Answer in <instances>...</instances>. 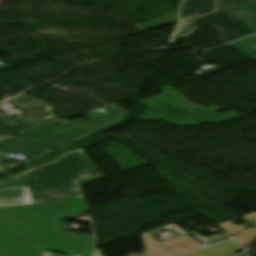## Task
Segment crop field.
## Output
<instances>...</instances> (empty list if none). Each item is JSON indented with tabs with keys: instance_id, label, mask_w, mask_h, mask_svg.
I'll return each mask as SVG.
<instances>
[{
	"instance_id": "crop-field-3",
	"label": "crop field",
	"mask_w": 256,
	"mask_h": 256,
	"mask_svg": "<svg viewBox=\"0 0 256 256\" xmlns=\"http://www.w3.org/2000/svg\"><path fill=\"white\" fill-rule=\"evenodd\" d=\"M98 132L100 130L84 119L76 122L66 120L0 143V153L18 152L35 161L54 152L50 149L52 147L69 141L77 142Z\"/></svg>"
},
{
	"instance_id": "crop-field-9",
	"label": "crop field",
	"mask_w": 256,
	"mask_h": 256,
	"mask_svg": "<svg viewBox=\"0 0 256 256\" xmlns=\"http://www.w3.org/2000/svg\"><path fill=\"white\" fill-rule=\"evenodd\" d=\"M211 12H214V0H186L182 5L181 21Z\"/></svg>"
},
{
	"instance_id": "crop-field-6",
	"label": "crop field",
	"mask_w": 256,
	"mask_h": 256,
	"mask_svg": "<svg viewBox=\"0 0 256 256\" xmlns=\"http://www.w3.org/2000/svg\"><path fill=\"white\" fill-rule=\"evenodd\" d=\"M10 101L22 108L44 107L47 117L44 119L25 118L14 119L10 121L0 119V142L13 138L17 133L28 131L59 120V118L53 114L52 106L50 104L36 99L30 95L19 96Z\"/></svg>"
},
{
	"instance_id": "crop-field-15",
	"label": "crop field",
	"mask_w": 256,
	"mask_h": 256,
	"mask_svg": "<svg viewBox=\"0 0 256 256\" xmlns=\"http://www.w3.org/2000/svg\"><path fill=\"white\" fill-rule=\"evenodd\" d=\"M233 9L256 22V2Z\"/></svg>"
},
{
	"instance_id": "crop-field-10",
	"label": "crop field",
	"mask_w": 256,
	"mask_h": 256,
	"mask_svg": "<svg viewBox=\"0 0 256 256\" xmlns=\"http://www.w3.org/2000/svg\"><path fill=\"white\" fill-rule=\"evenodd\" d=\"M230 45L251 56L256 51V35L241 39Z\"/></svg>"
},
{
	"instance_id": "crop-field-18",
	"label": "crop field",
	"mask_w": 256,
	"mask_h": 256,
	"mask_svg": "<svg viewBox=\"0 0 256 256\" xmlns=\"http://www.w3.org/2000/svg\"><path fill=\"white\" fill-rule=\"evenodd\" d=\"M196 238L199 239L201 242H203L206 245L212 244V243H215V242H218V241H222V240H225V239H229V237H227L226 235H223V234H218V235H215V236L210 237V238H203V237H200V236H196Z\"/></svg>"
},
{
	"instance_id": "crop-field-23",
	"label": "crop field",
	"mask_w": 256,
	"mask_h": 256,
	"mask_svg": "<svg viewBox=\"0 0 256 256\" xmlns=\"http://www.w3.org/2000/svg\"><path fill=\"white\" fill-rule=\"evenodd\" d=\"M235 254H232V255H227V256H234Z\"/></svg>"
},
{
	"instance_id": "crop-field-1",
	"label": "crop field",
	"mask_w": 256,
	"mask_h": 256,
	"mask_svg": "<svg viewBox=\"0 0 256 256\" xmlns=\"http://www.w3.org/2000/svg\"><path fill=\"white\" fill-rule=\"evenodd\" d=\"M82 149L62 154L11 177L0 179V188L29 186L33 203L82 197L76 180L101 176Z\"/></svg>"
},
{
	"instance_id": "crop-field-20",
	"label": "crop field",
	"mask_w": 256,
	"mask_h": 256,
	"mask_svg": "<svg viewBox=\"0 0 256 256\" xmlns=\"http://www.w3.org/2000/svg\"><path fill=\"white\" fill-rule=\"evenodd\" d=\"M14 165L12 164H4V163H0V173H5L6 171H8L10 168H12Z\"/></svg>"
},
{
	"instance_id": "crop-field-7",
	"label": "crop field",
	"mask_w": 256,
	"mask_h": 256,
	"mask_svg": "<svg viewBox=\"0 0 256 256\" xmlns=\"http://www.w3.org/2000/svg\"><path fill=\"white\" fill-rule=\"evenodd\" d=\"M129 114L130 113L117 106L107 109L105 113L94 117V119L89 122L103 131L122 124Z\"/></svg>"
},
{
	"instance_id": "crop-field-19",
	"label": "crop field",
	"mask_w": 256,
	"mask_h": 256,
	"mask_svg": "<svg viewBox=\"0 0 256 256\" xmlns=\"http://www.w3.org/2000/svg\"><path fill=\"white\" fill-rule=\"evenodd\" d=\"M189 22L188 21H184V22H181L180 25L178 26L175 34H174V37H173V40H172V44L175 43V41L178 39V37L180 36V34L182 33V31L184 30V28L186 27L187 23Z\"/></svg>"
},
{
	"instance_id": "crop-field-14",
	"label": "crop field",
	"mask_w": 256,
	"mask_h": 256,
	"mask_svg": "<svg viewBox=\"0 0 256 256\" xmlns=\"http://www.w3.org/2000/svg\"><path fill=\"white\" fill-rule=\"evenodd\" d=\"M256 0H217V11L255 2Z\"/></svg>"
},
{
	"instance_id": "crop-field-5",
	"label": "crop field",
	"mask_w": 256,
	"mask_h": 256,
	"mask_svg": "<svg viewBox=\"0 0 256 256\" xmlns=\"http://www.w3.org/2000/svg\"><path fill=\"white\" fill-rule=\"evenodd\" d=\"M212 24L223 36L225 43L256 33V24L229 9L209 16L191 20L182 37L191 35L198 25Z\"/></svg>"
},
{
	"instance_id": "crop-field-21",
	"label": "crop field",
	"mask_w": 256,
	"mask_h": 256,
	"mask_svg": "<svg viewBox=\"0 0 256 256\" xmlns=\"http://www.w3.org/2000/svg\"><path fill=\"white\" fill-rule=\"evenodd\" d=\"M102 253H103V249H98V248H96V249H95L94 256H102Z\"/></svg>"
},
{
	"instance_id": "crop-field-22",
	"label": "crop field",
	"mask_w": 256,
	"mask_h": 256,
	"mask_svg": "<svg viewBox=\"0 0 256 256\" xmlns=\"http://www.w3.org/2000/svg\"><path fill=\"white\" fill-rule=\"evenodd\" d=\"M7 159H10V158L5 157V156H3V155H0V162L5 161V160H7Z\"/></svg>"
},
{
	"instance_id": "crop-field-16",
	"label": "crop field",
	"mask_w": 256,
	"mask_h": 256,
	"mask_svg": "<svg viewBox=\"0 0 256 256\" xmlns=\"http://www.w3.org/2000/svg\"><path fill=\"white\" fill-rule=\"evenodd\" d=\"M237 220V218L228 221L224 224L219 225V227H221L223 230H225L228 234H230L232 237L235 236L236 234L240 233L241 231L247 229L246 227L242 226V225H237L235 226L234 224H232L231 222Z\"/></svg>"
},
{
	"instance_id": "crop-field-2",
	"label": "crop field",
	"mask_w": 256,
	"mask_h": 256,
	"mask_svg": "<svg viewBox=\"0 0 256 256\" xmlns=\"http://www.w3.org/2000/svg\"><path fill=\"white\" fill-rule=\"evenodd\" d=\"M41 248L91 256L93 242L0 223V255L41 256Z\"/></svg>"
},
{
	"instance_id": "crop-field-13",
	"label": "crop field",
	"mask_w": 256,
	"mask_h": 256,
	"mask_svg": "<svg viewBox=\"0 0 256 256\" xmlns=\"http://www.w3.org/2000/svg\"><path fill=\"white\" fill-rule=\"evenodd\" d=\"M213 248L218 250L219 252H221L224 255L232 254V253H235V252H238V251L244 249L232 240H229L224 243L213 246Z\"/></svg>"
},
{
	"instance_id": "crop-field-8",
	"label": "crop field",
	"mask_w": 256,
	"mask_h": 256,
	"mask_svg": "<svg viewBox=\"0 0 256 256\" xmlns=\"http://www.w3.org/2000/svg\"><path fill=\"white\" fill-rule=\"evenodd\" d=\"M33 204L29 188L0 189V207Z\"/></svg>"
},
{
	"instance_id": "crop-field-11",
	"label": "crop field",
	"mask_w": 256,
	"mask_h": 256,
	"mask_svg": "<svg viewBox=\"0 0 256 256\" xmlns=\"http://www.w3.org/2000/svg\"><path fill=\"white\" fill-rule=\"evenodd\" d=\"M176 22H178V14L174 15V16L167 17V18L155 20V21H152L149 23H145L142 25H138L136 27H138L139 29H141L143 31H147V30H151V29H154L157 27H161V26L176 23Z\"/></svg>"
},
{
	"instance_id": "crop-field-12",
	"label": "crop field",
	"mask_w": 256,
	"mask_h": 256,
	"mask_svg": "<svg viewBox=\"0 0 256 256\" xmlns=\"http://www.w3.org/2000/svg\"><path fill=\"white\" fill-rule=\"evenodd\" d=\"M244 217L249 219V220L250 219L255 220L256 219V212L252 213L250 215L244 216ZM255 238H256V229H250V230L240 234L235 239L238 240L243 245H246V244L253 243L255 241Z\"/></svg>"
},
{
	"instance_id": "crop-field-4",
	"label": "crop field",
	"mask_w": 256,
	"mask_h": 256,
	"mask_svg": "<svg viewBox=\"0 0 256 256\" xmlns=\"http://www.w3.org/2000/svg\"><path fill=\"white\" fill-rule=\"evenodd\" d=\"M86 211L88 210L83 198L37 205L4 207L0 208V222L93 241V237L65 232L60 227L59 218Z\"/></svg>"
},
{
	"instance_id": "crop-field-17",
	"label": "crop field",
	"mask_w": 256,
	"mask_h": 256,
	"mask_svg": "<svg viewBox=\"0 0 256 256\" xmlns=\"http://www.w3.org/2000/svg\"><path fill=\"white\" fill-rule=\"evenodd\" d=\"M182 256H223V255L217 252L216 250H214L213 248L209 247V248L202 249V250L192 252Z\"/></svg>"
}]
</instances>
